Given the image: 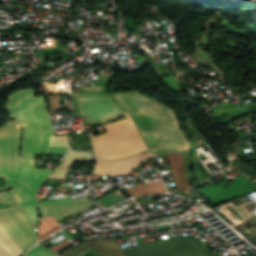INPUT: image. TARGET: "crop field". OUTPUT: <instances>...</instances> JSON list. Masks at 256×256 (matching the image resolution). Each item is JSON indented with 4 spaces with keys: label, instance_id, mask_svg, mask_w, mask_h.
<instances>
[{
    "label": "crop field",
    "instance_id": "obj_13",
    "mask_svg": "<svg viewBox=\"0 0 256 256\" xmlns=\"http://www.w3.org/2000/svg\"><path fill=\"white\" fill-rule=\"evenodd\" d=\"M25 256H59L42 245L31 249Z\"/></svg>",
    "mask_w": 256,
    "mask_h": 256
},
{
    "label": "crop field",
    "instance_id": "obj_17",
    "mask_svg": "<svg viewBox=\"0 0 256 256\" xmlns=\"http://www.w3.org/2000/svg\"><path fill=\"white\" fill-rule=\"evenodd\" d=\"M88 253H90V254H92V255H94V256H105V255H103V254H100V253H98V252L92 250V249H90V250L88 251ZM88 253H86V254L83 255V256H92V255H90V254H88Z\"/></svg>",
    "mask_w": 256,
    "mask_h": 256
},
{
    "label": "crop field",
    "instance_id": "obj_2",
    "mask_svg": "<svg viewBox=\"0 0 256 256\" xmlns=\"http://www.w3.org/2000/svg\"><path fill=\"white\" fill-rule=\"evenodd\" d=\"M23 127L21 177L13 192L18 205L36 225V188L53 169L34 168L35 153H64L66 148L48 147L50 135H55L47 112L44 95L36 97L35 89L15 91L8 95L4 107Z\"/></svg>",
    "mask_w": 256,
    "mask_h": 256
},
{
    "label": "crop field",
    "instance_id": "obj_8",
    "mask_svg": "<svg viewBox=\"0 0 256 256\" xmlns=\"http://www.w3.org/2000/svg\"><path fill=\"white\" fill-rule=\"evenodd\" d=\"M21 249L0 224V255L19 256Z\"/></svg>",
    "mask_w": 256,
    "mask_h": 256
},
{
    "label": "crop field",
    "instance_id": "obj_4",
    "mask_svg": "<svg viewBox=\"0 0 256 256\" xmlns=\"http://www.w3.org/2000/svg\"><path fill=\"white\" fill-rule=\"evenodd\" d=\"M0 223L22 250L29 248L34 243V228L25 212L19 206L0 209Z\"/></svg>",
    "mask_w": 256,
    "mask_h": 256
},
{
    "label": "crop field",
    "instance_id": "obj_1",
    "mask_svg": "<svg viewBox=\"0 0 256 256\" xmlns=\"http://www.w3.org/2000/svg\"><path fill=\"white\" fill-rule=\"evenodd\" d=\"M111 95L130 114L153 157L190 148L172 110L136 92ZM111 95L73 93L77 118L85 117L88 122L99 124L126 114ZM130 116L126 114L127 118L104 125L106 133L92 136L96 155L116 160L148 151ZM153 157L148 152L120 161L99 159L94 175L113 177L129 174L140 163Z\"/></svg>",
    "mask_w": 256,
    "mask_h": 256
},
{
    "label": "crop field",
    "instance_id": "obj_12",
    "mask_svg": "<svg viewBox=\"0 0 256 256\" xmlns=\"http://www.w3.org/2000/svg\"><path fill=\"white\" fill-rule=\"evenodd\" d=\"M138 246L121 249L125 256H148L145 243L142 240L136 241Z\"/></svg>",
    "mask_w": 256,
    "mask_h": 256
},
{
    "label": "crop field",
    "instance_id": "obj_7",
    "mask_svg": "<svg viewBox=\"0 0 256 256\" xmlns=\"http://www.w3.org/2000/svg\"><path fill=\"white\" fill-rule=\"evenodd\" d=\"M170 164V171L173 176L177 190L188 188L189 182L186 176L183 158L181 153L166 154Z\"/></svg>",
    "mask_w": 256,
    "mask_h": 256
},
{
    "label": "crop field",
    "instance_id": "obj_10",
    "mask_svg": "<svg viewBox=\"0 0 256 256\" xmlns=\"http://www.w3.org/2000/svg\"><path fill=\"white\" fill-rule=\"evenodd\" d=\"M126 192H128L131 195V197H133L138 195L166 192V189L162 181H156L145 184L138 183L135 186L131 187L130 189L126 190Z\"/></svg>",
    "mask_w": 256,
    "mask_h": 256
},
{
    "label": "crop field",
    "instance_id": "obj_15",
    "mask_svg": "<svg viewBox=\"0 0 256 256\" xmlns=\"http://www.w3.org/2000/svg\"><path fill=\"white\" fill-rule=\"evenodd\" d=\"M0 202H5V203H9L11 205H15L12 197L10 196V191L0 192Z\"/></svg>",
    "mask_w": 256,
    "mask_h": 256
},
{
    "label": "crop field",
    "instance_id": "obj_11",
    "mask_svg": "<svg viewBox=\"0 0 256 256\" xmlns=\"http://www.w3.org/2000/svg\"><path fill=\"white\" fill-rule=\"evenodd\" d=\"M61 228L63 227L54 220L53 216L41 218L38 242L41 241L44 237L54 233Z\"/></svg>",
    "mask_w": 256,
    "mask_h": 256
},
{
    "label": "crop field",
    "instance_id": "obj_9",
    "mask_svg": "<svg viewBox=\"0 0 256 256\" xmlns=\"http://www.w3.org/2000/svg\"><path fill=\"white\" fill-rule=\"evenodd\" d=\"M67 157V156H66ZM74 161H95L90 154L70 152L68 157L58 166L50 177L65 178L66 171Z\"/></svg>",
    "mask_w": 256,
    "mask_h": 256
},
{
    "label": "crop field",
    "instance_id": "obj_6",
    "mask_svg": "<svg viewBox=\"0 0 256 256\" xmlns=\"http://www.w3.org/2000/svg\"><path fill=\"white\" fill-rule=\"evenodd\" d=\"M39 204L41 217L53 215L58 222L84 208L93 205V202L89 198L72 200L71 197H67L41 201Z\"/></svg>",
    "mask_w": 256,
    "mask_h": 256
},
{
    "label": "crop field",
    "instance_id": "obj_14",
    "mask_svg": "<svg viewBox=\"0 0 256 256\" xmlns=\"http://www.w3.org/2000/svg\"><path fill=\"white\" fill-rule=\"evenodd\" d=\"M69 136H51L49 146L68 147Z\"/></svg>",
    "mask_w": 256,
    "mask_h": 256
},
{
    "label": "crop field",
    "instance_id": "obj_16",
    "mask_svg": "<svg viewBox=\"0 0 256 256\" xmlns=\"http://www.w3.org/2000/svg\"><path fill=\"white\" fill-rule=\"evenodd\" d=\"M83 92H107L106 87H80Z\"/></svg>",
    "mask_w": 256,
    "mask_h": 256
},
{
    "label": "crop field",
    "instance_id": "obj_3",
    "mask_svg": "<svg viewBox=\"0 0 256 256\" xmlns=\"http://www.w3.org/2000/svg\"><path fill=\"white\" fill-rule=\"evenodd\" d=\"M20 135V124L16 120L0 127V177L6 178L5 188L14 187L19 175Z\"/></svg>",
    "mask_w": 256,
    "mask_h": 256
},
{
    "label": "crop field",
    "instance_id": "obj_5",
    "mask_svg": "<svg viewBox=\"0 0 256 256\" xmlns=\"http://www.w3.org/2000/svg\"><path fill=\"white\" fill-rule=\"evenodd\" d=\"M149 256H207L206 246L192 239H163L146 243Z\"/></svg>",
    "mask_w": 256,
    "mask_h": 256
}]
</instances>
